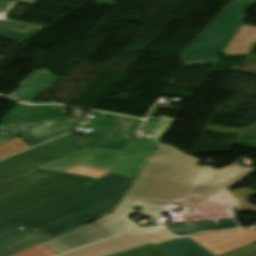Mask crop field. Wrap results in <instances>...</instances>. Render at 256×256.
Returning a JSON list of instances; mask_svg holds the SVG:
<instances>
[{"label":"crop field","instance_id":"8a807250","mask_svg":"<svg viewBox=\"0 0 256 256\" xmlns=\"http://www.w3.org/2000/svg\"><path fill=\"white\" fill-rule=\"evenodd\" d=\"M199 159L162 144L157 147L112 214L53 237L11 256H55L106 237L140 227L127 217L140 213L153 221L171 203L192 206L206 218H230L237 201L227 189L253 169L237 164L215 170L196 165ZM140 207V211L133 210Z\"/></svg>","mask_w":256,"mask_h":256},{"label":"crop field","instance_id":"ac0d7876","mask_svg":"<svg viewBox=\"0 0 256 256\" xmlns=\"http://www.w3.org/2000/svg\"><path fill=\"white\" fill-rule=\"evenodd\" d=\"M133 179L109 174L0 222V256H8L112 213ZM25 229L20 230L19 227Z\"/></svg>","mask_w":256,"mask_h":256},{"label":"crop field","instance_id":"34b2d1b8","mask_svg":"<svg viewBox=\"0 0 256 256\" xmlns=\"http://www.w3.org/2000/svg\"><path fill=\"white\" fill-rule=\"evenodd\" d=\"M103 116L83 145L82 137L73 133L50 141L0 162V182L81 150L89 145L123 151L143 122L133 118ZM138 130V129H137Z\"/></svg>","mask_w":256,"mask_h":256},{"label":"crop field","instance_id":"412701ff","mask_svg":"<svg viewBox=\"0 0 256 256\" xmlns=\"http://www.w3.org/2000/svg\"><path fill=\"white\" fill-rule=\"evenodd\" d=\"M95 179L38 168L0 183V221Z\"/></svg>","mask_w":256,"mask_h":256},{"label":"crop field","instance_id":"f4fd0767","mask_svg":"<svg viewBox=\"0 0 256 256\" xmlns=\"http://www.w3.org/2000/svg\"><path fill=\"white\" fill-rule=\"evenodd\" d=\"M218 18L182 54L186 66L215 64L224 47L245 19V10L254 0H232Z\"/></svg>","mask_w":256,"mask_h":256},{"label":"crop field","instance_id":"dd49c442","mask_svg":"<svg viewBox=\"0 0 256 256\" xmlns=\"http://www.w3.org/2000/svg\"><path fill=\"white\" fill-rule=\"evenodd\" d=\"M26 106L20 103L5 116L14 120L9 126L23 127L21 137L31 146H35L75 130L84 120L64 118V107Z\"/></svg>","mask_w":256,"mask_h":256},{"label":"crop field","instance_id":"e52e79f7","mask_svg":"<svg viewBox=\"0 0 256 256\" xmlns=\"http://www.w3.org/2000/svg\"><path fill=\"white\" fill-rule=\"evenodd\" d=\"M148 159V156L90 146L41 168L64 172L83 165L135 179Z\"/></svg>","mask_w":256,"mask_h":256},{"label":"crop field","instance_id":"d8731c3e","mask_svg":"<svg viewBox=\"0 0 256 256\" xmlns=\"http://www.w3.org/2000/svg\"><path fill=\"white\" fill-rule=\"evenodd\" d=\"M174 238L175 237L162 228L135 230L83 247L62 256H109L149 243L156 244ZM121 239L125 241H119Z\"/></svg>","mask_w":256,"mask_h":256},{"label":"crop field","instance_id":"5a996713","mask_svg":"<svg viewBox=\"0 0 256 256\" xmlns=\"http://www.w3.org/2000/svg\"><path fill=\"white\" fill-rule=\"evenodd\" d=\"M193 240L218 256L256 243V231L232 230L191 236Z\"/></svg>","mask_w":256,"mask_h":256},{"label":"crop field","instance_id":"3316defc","mask_svg":"<svg viewBox=\"0 0 256 256\" xmlns=\"http://www.w3.org/2000/svg\"><path fill=\"white\" fill-rule=\"evenodd\" d=\"M56 80V76L42 68L21 81V87L10 93L7 97L18 100L27 104H44L56 103V101L33 102L52 82ZM62 104V103H56Z\"/></svg>","mask_w":256,"mask_h":256},{"label":"crop field","instance_id":"28ad6ade","mask_svg":"<svg viewBox=\"0 0 256 256\" xmlns=\"http://www.w3.org/2000/svg\"><path fill=\"white\" fill-rule=\"evenodd\" d=\"M34 4L37 0H0V36L22 41L41 30V26L5 19L9 11L19 2Z\"/></svg>","mask_w":256,"mask_h":256},{"label":"crop field","instance_id":"d1516ede","mask_svg":"<svg viewBox=\"0 0 256 256\" xmlns=\"http://www.w3.org/2000/svg\"><path fill=\"white\" fill-rule=\"evenodd\" d=\"M169 128V125L145 121L141 127V130L152 133L153 135L151 138L143 140H131L124 151L151 156Z\"/></svg>","mask_w":256,"mask_h":256},{"label":"crop field","instance_id":"22f410ed","mask_svg":"<svg viewBox=\"0 0 256 256\" xmlns=\"http://www.w3.org/2000/svg\"><path fill=\"white\" fill-rule=\"evenodd\" d=\"M169 256H214L191 238H180L157 244Z\"/></svg>","mask_w":256,"mask_h":256},{"label":"crop field","instance_id":"cbeb9de0","mask_svg":"<svg viewBox=\"0 0 256 256\" xmlns=\"http://www.w3.org/2000/svg\"><path fill=\"white\" fill-rule=\"evenodd\" d=\"M165 227L169 229L171 233L177 236H185L188 234L209 231V230L238 228L233 218L213 220V221H207V222L185 223V224L165 226Z\"/></svg>","mask_w":256,"mask_h":256},{"label":"crop field","instance_id":"5142ce71","mask_svg":"<svg viewBox=\"0 0 256 256\" xmlns=\"http://www.w3.org/2000/svg\"><path fill=\"white\" fill-rule=\"evenodd\" d=\"M234 38L241 39L236 46H228L224 55H248L249 51L241 49L247 42L254 43L256 29L241 25Z\"/></svg>","mask_w":256,"mask_h":256},{"label":"crop field","instance_id":"d9b57169","mask_svg":"<svg viewBox=\"0 0 256 256\" xmlns=\"http://www.w3.org/2000/svg\"><path fill=\"white\" fill-rule=\"evenodd\" d=\"M28 148H30V146L21 137H17L7 142L1 143L0 159H3Z\"/></svg>","mask_w":256,"mask_h":256},{"label":"crop field","instance_id":"733c2abd","mask_svg":"<svg viewBox=\"0 0 256 256\" xmlns=\"http://www.w3.org/2000/svg\"><path fill=\"white\" fill-rule=\"evenodd\" d=\"M230 193L240 200V206L237 209V211L256 212V208L248 205L246 202V197L255 195L256 194L255 191L245 188L241 190L231 191Z\"/></svg>","mask_w":256,"mask_h":256},{"label":"crop field","instance_id":"4a817a6b","mask_svg":"<svg viewBox=\"0 0 256 256\" xmlns=\"http://www.w3.org/2000/svg\"><path fill=\"white\" fill-rule=\"evenodd\" d=\"M116 256H166L152 245L138 248Z\"/></svg>","mask_w":256,"mask_h":256},{"label":"crop field","instance_id":"bc2a9ffb","mask_svg":"<svg viewBox=\"0 0 256 256\" xmlns=\"http://www.w3.org/2000/svg\"><path fill=\"white\" fill-rule=\"evenodd\" d=\"M66 173H72V174H78V175H84V176H90V177H96V178H100L104 175L109 174L105 171L95 170V169H91L83 166H77L67 171Z\"/></svg>","mask_w":256,"mask_h":256},{"label":"crop field","instance_id":"214f88e0","mask_svg":"<svg viewBox=\"0 0 256 256\" xmlns=\"http://www.w3.org/2000/svg\"><path fill=\"white\" fill-rule=\"evenodd\" d=\"M221 256H256V244L238 249Z\"/></svg>","mask_w":256,"mask_h":256},{"label":"crop field","instance_id":"92a150f3","mask_svg":"<svg viewBox=\"0 0 256 256\" xmlns=\"http://www.w3.org/2000/svg\"><path fill=\"white\" fill-rule=\"evenodd\" d=\"M22 128L9 127L7 131L0 133V143L20 136Z\"/></svg>","mask_w":256,"mask_h":256},{"label":"crop field","instance_id":"dafd665d","mask_svg":"<svg viewBox=\"0 0 256 256\" xmlns=\"http://www.w3.org/2000/svg\"><path fill=\"white\" fill-rule=\"evenodd\" d=\"M239 40L232 39L229 45H236Z\"/></svg>","mask_w":256,"mask_h":256},{"label":"crop field","instance_id":"00972430","mask_svg":"<svg viewBox=\"0 0 256 256\" xmlns=\"http://www.w3.org/2000/svg\"><path fill=\"white\" fill-rule=\"evenodd\" d=\"M251 27H253V26H251ZM256 28V27H255Z\"/></svg>","mask_w":256,"mask_h":256},{"label":"crop field","instance_id":"a9b5d70f","mask_svg":"<svg viewBox=\"0 0 256 256\" xmlns=\"http://www.w3.org/2000/svg\"><path fill=\"white\" fill-rule=\"evenodd\" d=\"M256 43V42H255Z\"/></svg>","mask_w":256,"mask_h":256}]
</instances>
